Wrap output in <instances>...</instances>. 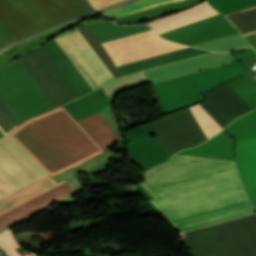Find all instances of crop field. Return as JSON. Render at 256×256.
<instances>
[{
    "mask_svg": "<svg viewBox=\"0 0 256 256\" xmlns=\"http://www.w3.org/2000/svg\"><path fill=\"white\" fill-rule=\"evenodd\" d=\"M149 201L180 233L253 213L235 162L175 154L145 172Z\"/></svg>",
    "mask_w": 256,
    "mask_h": 256,
    "instance_id": "obj_1",
    "label": "crop field"
},
{
    "mask_svg": "<svg viewBox=\"0 0 256 256\" xmlns=\"http://www.w3.org/2000/svg\"><path fill=\"white\" fill-rule=\"evenodd\" d=\"M0 172L20 189L48 175L8 134L0 139ZM0 173V199L17 189ZM76 191L49 175L0 200V229Z\"/></svg>",
    "mask_w": 256,
    "mask_h": 256,
    "instance_id": "obj_2",
    "label": "crop field"
},
{
    "mask_svg": "<svg viewBox=\"0 0 256 256\" xmlns=\"http://www.w3.org/2000/svg\"><path fill=\"white\" fill-rule=\"evenodd\" d=\"M10 135L51 176L103 152L63 107L27 120Z\"/></svg>",
    "mask_w": 256,
    "mask_h": 256,
    "instance_id": "obj_3",
    "label": "crop field"
},
{
    "mask_svg": "<svg viewBox=\"0 0 256 256\" xmlns=\"http://www.w3.org/2000/svg\"><path fill=\"white\" fill-rule=\"evenodd\" d=\"M184 235L192 256H256V213Z\"/></svg>",
    "mask_w": 256,
    "mask_h": 256,
    "instance_id": "obj_4",
    "label": "crop field"
},
{
    "mask_svg": "<svg viewBox=\"0 0 256 256\" xmlns=\"http://www.w3.org/2000/svg\"><path fill=\"white\" fill-rule=\"evenodd\" d=\"M79 15L71 0H0V25L17 40Z\"/></svg>",
    "mask_w": 256,
    "mask_h": 256,
    "instance_id": "obj_5",
    "label": "crop field"
},
{
    "mask_svg": "<svg viewBox=\"0 0 256 256\" xmlns=\"http://www.w3.org/2000/svg\"><path fill=\"white\" fill-rule=\"evenodd\" d=\"M245 73L234 63L155 84L168 113L203 101L201 92Z\"/></svg>",
    "mask_w": 256,
    "mask_h": 256,
    "instance_id": "obj_6",
    "label": "crop field"
},
{
    "mask_svg": "<svg viewBox=\"0 0 256 256\" xmlns=\"http://www.w3.org/2000/svg\"><path fill=\"white\" fill-rule=\"evenodd\" d=\"M19 60L55 107L80 97L43 48Z\"/></svg>",
    "mask_w": 256,
    "mask_h": 256,
    "instance_id": "obj_7",
    "label": "crop field"
},
{
    "mask_svg": "<svg viewBox=\"0 0 256 256\" xmlns=\"http://www.w3.org/2000/svg\"><path fill=\"white\" fill-rule=\"evenodd\" d=\"M54 39L93 90L115 79L76 27Z\"/></svg>",
    "mask_w": 256,
    "mask_h": 256,
    "instance_id": "obj_8",
    "label": "crop field"
},
{
    "mask_svg": "<svg viewBox=\"0 0 256 256\" xmlns=\"http://www.w3.org/2000/svg\"><path fill=\"white\" fill-rule=\"evenodd\" d=\"M212 8V7H211ZM206 2L199 3L187 10L166 16L148 23L157 34L189 24L191 22L218 14L211 9Z\"/></svg>",
    "mask_w": 256,
    "mask_h": 256,
    "instance_id": "obj_9",
    "label": "crop field"
},
{
    "mask_svg": "<svg viewBox=\"0 0 256 256\" xmlns=\"http://www.w3.org/2000/svg\"><path fill=\"white\" fill-rule=\"evenodd\" d=\"M45 51L59 67L65 77L76 89L80 96L93 91L74 65L70 62L64 52L60 49L54 39L47 42L44 47Z\"/></svg>",
    "mask_w": 256,
    "mask_h": 256,
    "instance_id": "obj_10",
    "label": "crop field"
},
{
    "mask_svg": "<svg viewBox=\"0 0 256 256\" xmlns=\"http://www.w3.org/2000/svg\"><path fill=\"white\" fill-rule=\"evenodd\" d=\"M235 159L244 186L256 184V138L236 141Z\"/></svg>",
    "mask_w": 256,
    "mask_h": 256,
    "instance_id": "obj_11",
    "label": "crop field"
},
{
    "mask_svg": "<svg viewBox=\"0 0 256 256\" xmlns=\"http://www.w3.org/2000/svg\"><path fill=\"white\" fill-rule=\"evenodd\" d=\"M78 123L104 150L122 142V139L97 112Z\"/></svg>",
    "mask_w": 256,
    "mask_h": 256,
    "instance_id": "obj_12",
    "label": "crop field"
},
{
    "mask_svg": "<svg viewBox=\"0 0 256 256\" xmlns=\"http://www.w3.org/2000/svg\"><path fill=\"white\" fill-rule=\"evenodd\" d=\"M210 51L206 50H199V49H194L191 47L180 49L177 51L169 52L166 54L158 55L155 57H151L148 59L140 60L137 62L129 63L126 65L118 66V69L122 73V75L141 71L144 69L152 68L155 66H159L162 64L170 63L173 61L181 60L184 58L192 57L195 55H199L202 53H206Z\"/></svg>",
    "mask_w": 256,
    "mask_h": 256,
    "instance_id": "obj_13",
    "label": "crop field"
},
{
    "mask_svg": "<svg viewBox=\"0 0 256 256\" xmlns=\"http://www.w3.org/2000/svg\"><path fill=\"white\" fill-rule=\"evenodd\" d=\"M110 101L103 91L102 87L96 91L87 94L79 99L67 103L64 108L70 113L77 121L95 111H98L108 105Z\"/></svg>",
    "mask_w": 256,
    "mask_h": 256,
    "instance_id": "obj_14",
    "label": "crop field"
},
{
    "mask_svg": "<svg viewBox=\"0 0 256 256\" xmlns=\"http://www.w3.org/2000/svg\"><path fill=\"white\" fill-rule=\"evenodd\" d=\"M88 29L100 43L150 30L149 27L142 25L117 26L111 21L88 27Z\"/></svg>",
    "mask_w": 256,
    "mask_h": 256,
    "instance_id": "obj_15",
    "label": "crop field"
},
{
    "mask_svg": "<svg viewBox=\"0 0 256 256\" xmlns=\"http://www.w3.org/2000/svg\"><path fill=\"white\" fill-rule=\"evenodd\" d=\"M200 0H183L180 2H171L159 6H155L149 9H145L139 12L132 13L117 18L120 23H135L143 20H147L156 16L168 14L174 10L182 9L190 6Z\"/></svg>",
    "mask_w": 256,
    "mask_h": 256,
    "instance_id": "obj_16",
    "label": "crop field"
},
{
    "mask_svg": "<svg viewBox=\"0 0 256 256\" xmlns=\"http://www.w3.org/2000/svg\"><path fill=\"white\" fill-rule=\"evenodd\" d=\"M224 130L235 140L256 137V109L236 119Z\"/></svg>",
    "mask_w": 256,
    "mask_h": 256,
    "instance_id": "obj_17",
    "label": "crop field"
},
{
    "mask_svg": "<svg viewBox=\"0 0 256 256\" xmlns=\"http://www.w3.org/2000/svg\"><path fill=\"white\" fill-rule=\"evenodd\" d=\"M79 21V20H77ZM77 21L71 22L69 24H66L60 28H57L55 30H52L48 33H44V34H40L36 37L31 38L29 41H24L20 44L14 45L11 48L5 50L2 52V55L7 59H11L13 57L25 54L39 46H41L43 44V42L45 40H47L49 37L59 33L60 31H62L63 29L72 26L74 23H76Z\"/></svg>",
    "mask_w": 256,
    "mask_h": 256,
    "instance_id": "obj_18",
    "label": "crop field"
},
{
    "mask_svg": "<svg viewBox=\"0 0 256 256\" xmlns=\"http://www.w3.org/2000/svg\"><path fill=\"white\" fill-rule=\"evenodd\" d=\"M235 27L238 26L244 35L252 34L256 32V7L248 8L238 12L224 15ZM236 29L240 31V29Z\"/></svg>",
    "mask_w": 256,
    "mask_h": 256,
    "instance_id": "obj_19",
    "label": "crop field"
},
{
    "mask_svg": "<svg viewBox=\"0 0 256 256\" xmlns=\"http://www.w3.org/2000/svg\"><path fill=\"white\" fill-rule=\"evenodd\" d=\"M190 109L197 123L199 124L206 140L222 130L199 104L190 106Z\"/></svg>",
    "mask_w": 256,
    "mask_h": 256,
    "instance_id": "obj_20",
    "label": "crop field"
},
{
    "mask_svg": "<svg viewBox=\"0 0 256 256\" xmlns=\"http://www.w3.org/2000/svg\"><path fill=\"white\" fill-rule=\"evenodd\" d=\"M136 1H139V0H135V1H132V2H136ZM170 1H177V0H142V1H139V2H136V3H133V4H129V5L124 4L125 6L120 5L122 7L116 6V7H113V8H109V9H106L102 12H105L107 10H111V9L119 7L117 9H114V10L103 13L104 15H106L108 17L114 18V17H117V16H121V15L131 13V12H134V11H138V10L148 8V7H151V6H154V5L167 3V2H170ZM132 2H129V3H132Z\"/></svg>",
    "mask_w": 256,
    "mask_h": 256,
    "instance_id": "obj_21",
    "label": "crop field"
},
{
    "mask_svg": "<svg viewBox=\"0 0 256 256\" xmlns=\"http://www.w3.org/2000/svg\"><path fill=\"white\" fill-rule=\"evenodd\" d=\"M146 81V78L142 72L130 74L121 78L116 79L115 81L103 86L106 94L109 96L131 84L139 83Z\"/></svg>",
    "mask_w": 256,
    "mask_h": 256,
    "instance_id": "obj_22",
    "label": "crop field"
},
{
    "mask_svg": "<svg viewBox=\"0 0 256 256\" xmlns=\"http://www.w3.org/2000/svg\"><path fill=\"white\" fill-rule=\"evenodd\" d=\"M0 245L6 250L9 256H20L14 250L20 246L15 242L10 230L0 233Z\"/></svg>",
    "mask_w": 256,
    "mask_h": 256,
    "instance_id": "obj_23",
    "label": "crop field"
},
{
    "mask_svg": "<svg viewBox=\"0 0 256 256\" xmlns=\"http://www.w3.org/2000/svg\"><path fill=\"white\" fill-rule=\"evenodd\" d=\"M90 1L97 9H99L119 0H90Z\"/></svg>",
    "mask_w": 256,
    "mask_h": 256,
    "instance_id": "obj_24",
    "label": "crop field"
},
{
    "mask_svg": "<svg viewBox=\"0 0 256 256\" xmlns=\"http://www.w3.org/2000/svg\"><path fill=\"white\" fill-rule=\"evenodd\" d=\"M6 61L2 56H0V63Z\"/></svg>",
    "mask_w": 256,
    "mask_h": 256,
    "instance_id": "obj_25",
    "label": "crop field"
}]
</instances>
